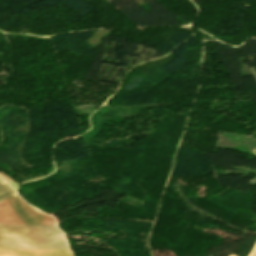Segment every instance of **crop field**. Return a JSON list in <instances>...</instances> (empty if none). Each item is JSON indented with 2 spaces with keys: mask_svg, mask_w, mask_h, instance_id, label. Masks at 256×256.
Wrapping results in <instances>:
<instances>
[{
  "mask_svg": "<svg viewBox=\"0 0 256 256\" xmlns=\"http://www.w3.org/2000/svg\"><path fill=\"white\" fill-rule=\"evenodd\" d=\"M0 247L69 249L56 226L0 225Z\"/></svg>",
  "mask_w": 256,
  "mask_h": 256,
  "instance_id": "8a807250",
  "label": "crop field"
},
{
  "mask_svg": "<svg viewBox=\"0 0 256 256\" xmlns=\"http://www.w3.org/2000/svg\"><path fill=\"white\" fill-rule=\"evenodd\" d=\"M0 223L55 225L52 217L30 207L18 195L0 202Z\"/></svg>",
  "mask_w": 256,
  "mask_h": 256,
  "instance_id": "ac0d7876",
  "label": "crop field"
},
{
  "mask_svg": "<svg viewBox=\"0 0 256 256\" xmlns=\"http://www.w3.org/2000/svg\"><path fill=\"white\" fill-rule=\"evenodd\" d=\"M0 256H72L69 250L0 249Z\"/></svg>",
  "mask_w": 256,
  "mask_h": 256,
  "instance_id": "34b2d1b8",
  "label": "crop field"
},
{
  "mask_svg": "<svg viewBox=\"0 0 256 256\" xmlns=\"http://www.w3.org/2000/svg\"><path fill=\"white\" fill-rule=\"evenodd\" d=\"M16 193L4 182H0V201L7 199Z\"/></svg>",
  "mask_w": 256,
  "mask_h": 256,
  "instance_id": "412701ff",
  "label": "crop field"
},
{
  "mask_svg": "<svg viewBox=\"0 0 256 256\" xmlns=\"http://www.w3.org/2000/svg\"><path fill=\"white\" fill-rule=\"evenodd\" d=\"M0 176L16 191V188L18 186L17 182H15L14 180L10 179L9 177H7L2 172H0Z\"/></svg>",
  "mask_w": 256,
  "mask_h": 256,
  "instance_id": "f4fd0767",
  "label": "crop field"
},
{
  "mask_svg": "<svg viewBox=\"0 0 256 256\" xmlns=\"http://www.w3.org/2000/svg\"><path fill=\"white\" fill-rule=\"evenodd\" d=\"M248 256H256V242H255V244H254V246H253V248H252V250H251V252Z\"/></svg>",
  "mask_w": 256,
  "mask_h": 256,
  "instance_id": "dd49c442",
  "label": "crop field"
},
{
  "mask_svg": "<svg viewBox=\"0 0 256 256\" xmlns=\"http://www.w3.org/2000/svg\"><path fill=\"white\" fill-rule=\"evenodd\" d=\"M230 255H231V254H230ZM231 256H235V255L232 254Z\"/></svg>",
  "mask_w": 256,
  "mask_h": 256,
  "instance_id": "e52e79f7",
  "label": "crop field"
},
{
  "mask_svg": "<svg viewBox=\"0 0 256 256\" xmlns=\"http://www.w3.org/2000/svg\"><path fill=\"white\" fill-rule=\"evenodd\" d=\"M0 181H2V179L0 178Z\"/></svg>",
  "mask_w": 256,
  "mask_h": 256,
  "instance_id": "d8731c3e",
  "label": "crop field"
}]
</instances>
